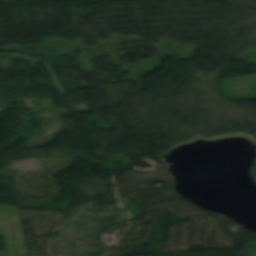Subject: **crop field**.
<instances>
[{"label": "crop field", "mask_w": 256, "mask_h": 256, "mask_svg": "<svg viewBox=\"0 0 256 256\" xmlns=\"http://www.w3.org/2000/svg\"><path fill=\"white\" fill-rule=\"evenodd\" d=\"M14 239V246L11 248L12 256H26L24 244H19L18 241Z\"/></svg>", "instance_id": "8a807250"}]
</instances>
